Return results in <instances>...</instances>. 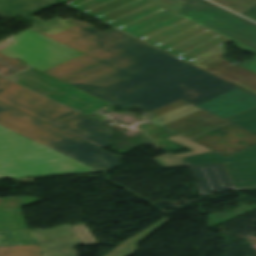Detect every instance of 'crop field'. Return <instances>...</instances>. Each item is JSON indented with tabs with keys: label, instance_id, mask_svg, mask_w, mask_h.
Listing matches in <instances>:
<instances>
[{
	"label": "crop field",
	"instance_id": "crop-field-1",
	"mask_svg": "<svg viewBox=\"0 0 256 256\" xmlns=\"http://www.w3.org/2000/svg\"><path fill=\"white\" fill-rule=\"evenodd\" d=\"M53 0H0V13L32 21V29L84 54L44 72L123 109L149 112L181 98L195 106L237 87L117 30L83 29L59 17L32 15Z\"/></svg>",
	"mask_w": 256,
	"mask_h": 256
},
{
	"label": "crop field",
	"instance_id": "crop-field-2",
	"mask_svg": "<svg viewBox=\"0 0 256 256\" xmlns=\"http://www.w3.org/2000/svg\"><path fill=\"white\" fill-rule=\"evenodd\" d=\"M69 6L256 95V56L231 64L220 57L231 40L148 0H74Z\"/></svg>",
	"mask_w": 256,
	"mask_h": 256
},
{
	"label": "crop field",
	"instance_id": "crop-field-3",
	"mask_svg": "<svg viewBox=\"0 0 256 256\" xmlns=\"http://www.w3.org/2000/svg\"><path fill=\"white\" fill-rule=\"evenodd\" d=\"M0 101L101 148L111 144L109 139L114 132L109 126L70 110L2 77H0Z\"/></svg>",
	"mask_w": 256,
	"mask_h": 256
},
{
	"label": "crop field",
	"instance_id": "crop-field-4",
	"mask_svg": "<svg viewBox=\"0 0 256 256\" xmlns=\"http://www.w3.org/2000/svg\"><path fill=\"white\" fill-rule=\"evenodd\" d=\"M0 125L96 169L105 171L117 166L118 156L3 103H0Z\"/></svg>",
	"mask_w": 256,
	"mask_h": 256
},
{
	"label": "crop field",
	"instance_id": "crop-field-5",
	"mask_svg": "<svg viewBox=\"0 0 256 256\" xmlns=\"http://www.w3.org/2000/svg\"><path fill=\"white\" fill-rule=\"evenodd\" d=\"M65 159L71 158L0 126V179L100 172L77 161L80 169L64 170L58 163Z\"/></svg>",
	"mask_w": 256,
	"mask_h": 256
},
{
	"label": "crop field",
	"instance_id": "crop-field-6",
	"mask_svg": "<svg viewBox=\"0 0 256 256\" xmlns=\"http://www.w3.org/2000/svg\"><path fill=\"white\" fill-rule=\"evenodd\" d=\"M82 53L28 29L13 39V44L0 51V74L8 77L29 67L46 70L71 60ZM18 59L26 64L18 62Z\"/></svg>",
	"mask_w": 256,
	"mask_h": 256
},
{
	"label": "crop field",
	"instance_id": "crop-field-7",
	"mask_svg": "<svg viewBox=\"0 0 256 256\" xmlns=\"http://www.w3.org/2000/svg\"><path fill=\"white\" fill-rule=\"evenodd\" d=\"M231 40L256 50V26L201 0H150Z\"/></svg>",
	"mask_w": 256,
	"mask_h": 256
},
{
	"label": "crop field",
	"instance_id": "crop-field-8",
	"mask_svg": "<svg viewBox=\"0 0 256 256\" xmlns=\"http://www.w3.org/2000/svg\"><path fill=\"white\" fill-rule=\"evenodd\" d=\"M149 113L156 124L192 141L231 124L180 99Z\"/></svg>",
	"mask_w": 256,
	"mask_h": 256
},
{
	"label": "crop field",
	"instance_id": "crop-field-9",
	"mask_svg": "<svg viewBox=\"0 0 256 256\" xmlns=\"http://www.w3.org/2000/svg\"><path fill=\"white\" fill-rule=\"evenodd\" d=\"M76 235H71L47 242L42 241L73 234L69 225L41 231H12L0 232V246L40 244L43 256H76L77 252L71 247L81 244H97L84 225L73 227Z\"/></svg>",
	"mask_w": 256,
	"mask_h": 256
},
{
	"label": "crop field",
	"instance_id": "crop-field-10",
	"mask_svg": "<svg viewBox=\"0 0 256 256\" xmlns=\"http://www.w3.org/2000/svg\"><path fill=\"white\" fill-rule=\"evenodd\" d=\"M8 78L33 90H36L48 97H51L61 103H64L76 110L101 101V99L95 96L85 93L44 72L35 70L33 68L24 70ZM64 86H68L70 90L65 89ZM107 104L108 103L103 101L99 104L93 105L80 111L87 114Z\"/></svg>",
	"mask_w": 256,
	"mask_h": 256
},
{
	"label": "crop field",
	"instance_id": "crop-field-11",
	"mask_svg": "<svg viewBox=\"0 0 256 256\" xmlns=\"http://www.w3.org/2000/svg\"><path fill=\"white\" fill-rule=\"evenodd\" d=\"M255 106L256 96L237 88L197 107L226 120Z\"/></svg>",
	"mask_w": 256,
	"mask_h": 256
},
{
	"label": "crop field",
	"instance_id": "crop-field-12",
	"mask_svg": "<svg viewBox=\"0 0 256 256\" xmlns=\"http://www.w3.org/2000/svg\"><path fill=\"white\" fill-rule=\"evenodd\" d=\"M39 201L32 197L0 199V230L27 229L20 208Z\"/></svg>",
	"mask_w": 256,
	"mask_h": 256
},
{
	"label": "crop field",
	"instance_id": "crop-field-13",
	"mask_svg": "<svg viewBox=\"0 0 256 256\" xmlns=\"http://www.w3.org/2000/svg\"><path fill=\"white\" fill-rule=\"evenodd\" d=\"M205 194L233 188L223 165L191 167Z\"/></svg>",
	"mask_w": 256,
	"mask_h": 256
},
{
	"label": "crop field",
	"instance_id": "crop-field-14",
	"mask_svg": "<svg viewBox=\"0 0 256 256\" xmlns=\"http://www.w3.org/2000/svg\"><path fill=\"white\" fill-rule=\"evenodd\" d=\"M189 165L256 161V145L224 157L216 152L182 158Z\"/></svg>",
	"mask_w": 256,
	"mask_h": 256
},
{
	"label": "crop field",
	"instance_id": "crop-field-15",
	"mask_svg": "<svg viewBox=\"0 0 256 256\" xmlns=\"http://www.w3.org/2000/svg\"><path fill=\"white\" fill-rule=\"evenodd\" d=\"M223 165L235 187L256 186V162Z\"/></svg>",
	"mask_w": 256,
	"mask_h": 256
},
{
	"label": "crop field",
	"instance_id": "crop-field-16",
	"mask_svg": "<svg viewBox=\"0 0 256 256\" xmlns=\"http://www.w3.org/2000/svg\"><path fill=\"white\" fill-rule=\"evenodd\" d=\"M170 218H166L164 220H161L148 229L144 230L143 232L139 233L138 235L134 236L133 238L129 239L122 245L115 248L113 251L109 252L105 256H129L136 251H138V243L144 239H146L148 236H150L152 233H154L159 227H161L165 222H167Z\"/></svg>",
	"mask_w": 256,
	"mask_h": 256
},
{
	"label": "crop field",
	"instance_id": "crop-field-17",
	"mask_svg": "<svg viewBox=\"0 0 256 256\" xmlns=\"http://www.w3.org/2000/svg\"><path fill=\"white\" fill-rule=\"evenodd\" d=\"M226 121L231 122L256 135V107Z\"/></svg>",
	"mask_w": 256,
	"mask_h": 256
},
{
	"label": "crop field",
	"instance_id": "crop-field-18",
	"mask_svg": "<svg viewBox=\"0 0 256 256\" xmlns=\"http://www.w3.org/2000/svg\"><path fill=\"white\" fill-rule=\"evenodd\" d=\"M39 245L0 247V256H42Z\"/></svg>",
	"mask_w": 256,
	"mask_h": 256
},
{
	"label": "crop field",
	"instance_id": "crop-field-19",
	"mask_svg": "<svg viewBox=\"0 0 256 256\" xmlns=\"http://www.w3.org/2000/svg\"><path fill=\"white\" fill-rule=\"evenodd\" d=\"M167 139L179 144V145H182L186 148H189L191 150H193L192 152L190 153H186V154H179V155H176L180 158L182 157H185V156H189V155H195V154H200V153H206V152H212L211 150L205 148V147H202L194 142H191L179 135H176V136H172V137H167Z\"/></svg>",
	"mask_w": 256,
	"mask_h": 256
},
{
	"label": "crop field",
	"instance_id": "crop-field-20",
	"mask_svg": "<svg viewBox=\"0 0 256 256\" xmlns=\"http://www.w3.org/2000/svg\"><path fill=\"white\" fill-rule=\"evenodd\" d=\"M212 1L238 14L242 13L243 11L247 10L248 8L256 4V0H212ZM230 4L236 5L242 9L228 7V5Z\"/></svg>",
	"mask_w": 256,
	"mask_h": 256
},
{
	"label": "crop field",
	"instance_id": "crop-field-21",
	"mask_svg": "<svg viewBox=\"0 0 256 256\" xmlns=\"http://www.w3.org/2000/svg\"><path fill=\"white\" fill-rule=\"evenodd\" d=\"M162 167H177V166H187L182 160L177 159L169 154L157 157L153 159Z\"/></svg>",
	"mask_w": 256,
	"mask_h": 256
},
{
	"label": "crop field",
	"instance_id": "crop-field-22",
	"mask_svg": "<svg viewBox=\"0 0 256 256\" xmlns=\"http://www.w3.org/2000/svg\"><path fill=\"white\" fill-rule=\"evenodd\" d=\"M241 15L253 20L256 22V5L253 6L252 8L248 9L247 11H245L244 13H242Z\"/></svg>",
	"mask_w": 256,
	"mask_h": 256
},
{
	"label": "crop field",
	"instance_id": "crop-field-23",
	"mask_svg": "<svg viewBox=\"0 0 256 256\" xmlns=\"http://www.w3.org/2000/svg\"><path fill=\"white\" fill-rule=\"evenodd\" d=\"M75 162L71 160H65L60 162L59 164L64 168V169H73V168H78L74 165Z\"/></svg>",
	"mask_w": 256,
	"mask_h": 256
},
{
	"label": "crop field",
	"instance_id": "crop-field-24",
	"mask_svg": "<svg viewBox=\"0 0 256 256\" xmlns=\"http://www.w3.org/2000/svg\"><path fill=\"white\" fill-rule=\"evenodd\" d=\"M55 1H57V2L61 3V2H63V1H65V0H55Z\"/></svg>",
	"mask_w": 256,
	"mask_h": 256
}]
</instances>
